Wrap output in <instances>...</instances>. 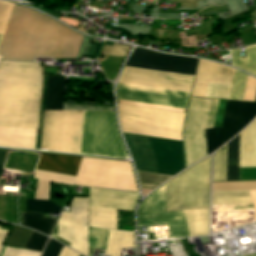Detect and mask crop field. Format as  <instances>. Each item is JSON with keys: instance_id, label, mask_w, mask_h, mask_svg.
<instances>
[{"instance_id": "8a807250", "label": "crop field", "mask_w": 256, "mask_h": 256, "mask_svg": "<svg viewBox=\"0 0 256 256\" xmlns=\"http://www.w3.org/2000/svg\"><path fill=\"white\" fill-rule=\"evenodd\" d=\"M196 62L194 59L135 49L126 66L194 76ZM128 67L123 69L118 82L187 93L191 91L194 77ZM120 83L116 86L117 99L184 109L187 107L190 94Z\"/></svg>"}, {"instance_id": "ac0d7876", "label": "crop field", "mask_w": 256, "mask_h": 256, "mask_svg": "<svg viewBox=\"0 0 256 256\" xmlns=\"http://www.w3.org/2000/svg\"><path fill=\"white\" fill-rule=\"evenodd\" d=\"M82 35L63 24L23 6L13 5L11 15L0 47L2 59L33 61L38 57H75ZM84 36L79 55H94L96 46L89 45Z\"/></svg>"}, {"instance_id": "34b2d1b8", "label": "crop field", "mask_w": 256, "mask_h": 256, "mask_svg": "<svg viewBox=\"0 0 256 256\" xmlns=\"http://www.w3.org/2000/svg\"><path fill=\"white\" fill-rule=\"evenodd\" d=\"M85 111H44L40 150L81 154ZM83 155L129 159L114 111H86Z\"/></svg>"}, {"instance_id": "412701ff", "label": "crop field", "mask_w": 256, "mask_h": 256, "mask_svg": "<svg viewBox=\"0 0 256 256\" xmlns=\"http://www.w3.org/2000/svg\"><path fill=\"white\" fill-rule=\"evenodd\" d=\"M40 63H0V125L38 127Z\"/></svg>"}, {"instance_id": "f4fd0767", "label": "crop field", "mask_w": 256, "mask_h": 256, "mask_svg": "<svg viewBox=\"0 0 256 256\" xmlns=\"http://www.w3.org/2000/svg\"><path fill=\"white\" fill-rule=\"evenodd\" d=\"M166 183L141 202L137 226L168 224L173 237H181V211L165 212ZM209 208L182 211V237L208 235Z\"/></svg>"}, {"instance_id": "dd49c442", "label": "crop field", "mask_w": 256, "mask_h": 256, "mask_svg": "<svg viewBox=\"0 0 256 256\" xmlns=\"http://www.w3.org/2000/svg\"><path fill=\"white\" fill-rule=\"evenodd\" d=\"M69 213L62 212L57 236L68 241ZM69 247L88 256V197H73L70 210ZM134 247V233L109 230L104 255L119 256L120 249Z\"/></svg>"}, {"instance_id": "e52e79f7", "label": "crop field", "mask_w": 256, "mask_h": 256, "mask_svg": "<svg viewBox=\"0 0 256 256\" xmlns=\"http://www.w3.org/2000/svg\"><path fill=\"white\" fill-rule=\"evenodd\" d=\"M123 135L137 170L175 175L184 168L182 142Z\"/></svg>"}, {"instance_id": "d8731c3e", "label": "crop field", "mask_w": 256, "mask_h": 256, "mask_svg": "<svg viewBox=\"0 0 256 256\" xmlns=\"http://www.w3.org/2000/svg\"><path fill=\"white\" fill-rule=\"evenodd\" d=\"M210 157L167 182L166 211L209 207Z\"/></svg>"}, {"instance_id": "5a996713", "label": "crop field", "mask_w": 256, "mask_h": 256, "mask_svg": "<svg viewBox=\"0 0 256 256\" xmlns=\"http://www.w3.org/2000/svg\"><path fill=\"white\" fill-rule=\"evenodd\" d=\"M123 133L182 140L185 114L118 105Z\"/></svg>"}, {"instance_id": "3316defc", "label": "crop field", "mask_w": 256, "mask_h": 256, "mask_svg": "<svg viewBox=\"0 0 256 256\" xmlns=\"http://www.w3.org/2000/svg\"><path fill=\"white\" fill-rule=\"evenodd\" d=\"M218 102L191 97L183 130L186 167L207 156L204 128L213 127Z\"/></svg>"}, {"instance_id": "28ad6ade", "label": "crop field", "mask_w": 256, "mask_h": 256, "mask_svg": "<svg viewBox=\"0 0 256 256\" xmlns=\"http://www.w3.org/2000/svg\"><path fill=\"white\" fill-rule=\"evenodd\" d=\"M74 185L138 191L130 162L85 157Z\"/></svg>"}, {"instance_id": "d1516ede", "label": "crop field", "mask_w": 256, "mask_h": 256, "mask_svg": "<svg viewBox=\"0 0 256 256\" xmlns=\"http://www.w3.org/2000/svg\"><path fill=\"white\" fill-rule=\"evenodd\" d=\"M82 157L42 153L38 162V170L76 175ZM35 171L38 178L35 199L48 200L50 182L73 185L75 177L44 171Z\"/></svg>"}, {"instance_id": "22f410ed", "label": "crop field", "mask_w": 256, "mask_h": 256, "mask_svg": "<svg viewBox=\"0 0 256 256\" xmlns=\"http://www.w3.org/2000/svg\"><path fill=\"white\" fill-rule=\"evenodd\" d=\"M255 116L256 103L227 100L222 124L223 144L236 135Z\"/></svg>"}, {"instance_id": "cbeb9de0", "label": "crop field", "mask_w": 256, "mask_h": 256, "mask_svg": "<svg viewBox=\"0 0 256 256\" xmlns=\"http://www.w3.org/2000/svg\"><path fill=\"white\" fill-rule=\"evenodd\" d=\"M138 193L89 188V206L133 210Z\"/></svg>"}, {"instance_id": "5142ce71", "label": "crop field", "mask_w": 256, "mask_h": 256, "mask_svg": "<svg viewBox=\"0 0 256 256\" xmlns=\"http://www.w3.org/2000/svg\"><path fill=\"white\" fill-rule=\"evenodd\" d=\"M35 130L0 127V146L34 149Z\"/></svg>"}, {"instance_id": "d9b57169", "label": "crop field", "mask_w": 256, "mask_h": 256, "mask_svg": "<svg viewBox=\"0 0 256 256\" xmlns=\"http://www.w3.org/2000/svg\"><path fill=\"white\" fill-rule=\"evenodd\" d=\"M256 166V119L240 133L239 167Z\"/></svg>"}, {"instance_id": "733c2abd", "label": "crop field", "mask_w": 256, "mask_h": 256, "mask_svg": "<svg viewBox=\"0 0 256 256\" xmlns=\"http://www.w3.org/2000/svg\"><path fill=\"white\" fill-rule=\"evenodd\" d=\"M252 206L248 191L211 192V208Z\"/></svg>"}, {"instance_id": "4a817a6b", "label": "crop field", "mask_w": 256, "mask_h": 256, "mask_svg": "<svg viewBox=\"0 0 256 256\" xmlns=\"http://www.w3.org/2000/svg\"><path fill=\"white\" fill-rule=\"evenodd\" d=\"M65 77L47 76L44 110H62Z\"/></svg>"}, {"instance_id": "bc2a9ffb", "label": "crop field", "mask_w": 256, "mask_h": 256, "mask_svg": "<svg viewBox=\"0 0 256 256\" xmlns=\"http://www.w3.org/2000/svg\"><path fill=\"white\" fill-rule=\"evenodd\" d=\"M89 227L117 230V210L89 207Z\"/></svg>"}, {"instance_id": "214f88e0", "label": "crop field", "mask_w": 256, "mask_h": 256, "mask_svg": "<svg viewBox=\"0 0 256 256\" xmlns=\"http://www.w3.org/2000/svg\"><path fill=\"white\" fill-rule=\"evenodd\" d=\"M230 52L232 66L243 69L256 76V45L245 47L246 58H241L240 48L230 50Z\"/></svg>"}, {"instance_id": "92a150f3", "label": "crop field", "mask_w": 256, "mask_h": 256, "mask_svg": "<svg viewBox=\"0 0 256 256\" xmlns=\"http://www.w3.org/2000/svg\"><path fill=\"white\" fill-rule=\"evenodd\" d=\"M23 225L49 236L57 219L44 217V213L21 212Z\"/></svg>"}, {"instance_id": "dafd665d", "label": "crop field", "mask_w": 256, "mask_h": 256, "mask_svg": "<svg viewBox=\"0 0 256 256\" xmlns=\"http://www.w3.org/2000/svg\"><path fill=\"white\" fill-rule=\"evenodd\" d=\"M239 135L227 143L226 181L238 180Z\"/></svg>"}, {"instance_id": "00972430", "label": "crop field", "mask_w": 256, "mask_h": 256, "mask_svg": "<svg viewBox=\"0 0 256 256\" xmlns=\"http://www.w3.org/2000/svg\"><path fill=\"white\" fill-rule=\"evenodd\" d=\"M219 65L199 59L195 80L215 83Z\"/></svg>"}, {"instance_id": "a9b5d70f", "label": "crop field", "mask_w": 256, "mask_h": 256, "mask_svg": "<svg viewBox=\"0 0 256 256\" xmlns=\"http://www.w3.org/2000/svg\"><path fill=\"white\" fill-rule=\"evenodd\" d=\"M141 188L153 189L168 178L170 175L154 174L137 171Z\"/></svg>"}, {"instance_id": "4177f3b9", "label": "crop field", "mask_w": 256, "mask_h": 256, "mask_svg": "<svg viewBox=\"0 0 256 256\" xmlns=\"http://www.w3.org/2000/svg\"><path fill=\"white\" fill-rule=\"evenodd\" d=\"M62 208L50 201L27 199L26 211L60 213Z\"/></svg>"}, {"instance_id": "730fd06b", "label": "crop field", "mask_w": 256, "mask_h": 256, "mask_svg": "<svg viewBox=\"0 0 256 256\" xmlns=\"http://www.w3.org/2000/svg\"><path fill=\"white\" fill-rule=\"evenodd\" d=\"M247 77V74L236 70L229 99L242 100Z\"/></svg>"}, {"instance_id": "eef30255", "label": "crop field", "mask_w": 256, "mask_h": 256, "mask_svg": "<svg viewBox=\"0 0 256 256\" xmlns=\"http://www.w3.org/2000/svg\"><path fill=\"white\" fill-rule=\"evenodd\" d=\"M225 146L213 153L212 181H223Z\"/></svg>"}, {"instance_id": "ae1a2a85", "label": "crop field", "mask_w": 256, "mask_h": 256, "mask_svg": "<svg viewBox=\"0 0 256 256\" xmlns=\"http://www.w3.org/2000/svg\"><path fill=\"white\" fill-rule=\"evenodd\" d=\"M256 190V182H213V191Z\"/></svg>"}, {"instance_id": "d3111659", "label": "crop field", "mask_w": 256, "mask_h": 256, "mask_svg": "<svg viewBox=\"0 0 256 256\" xmlns=\"http://www.w3.org/2000/svg\"><path fill=\"white\" fill-rule=\"evenodd\" d=\"M63 244L50 239L48 242V245L43 253L42 256H56L61 249ZM57 256H80L76 252L72 251L68 247L64 246L60 250L59 254Z\"/></svg>"}, {"instance_id": "750c4746", "label": "crop field", "mask_w": 256, "mask_h": 256, "mask_svg": "<svg viewBox=\"0 0 256 256\" xmlns=\"http://www.w3.org/2000/svg\"><path fill=\"white\" fill-rule=\"evenodd\" d=\"M30 233L31 230L15 225L6 244L24 247Z\"/></svg>"}, {"instance_id": "bd1437ed", "label": "crop field", "mask_w": 256, "mask_h": 256, "mask_svg": "<svg viewBox=\"0 0 256 256\" xmlns=\"http://www.w3.org/2000/svg\"><path fill=\"white\" fill-rule=\"evenodd\" d=\"M208 154L222 145L221 127L206 129Z\"/></svg>"}, {"instance_id": "1d83c4d3", "label": "crop field", "mask_w": 256, "mask_h": 256, "mask_svg": "<svg viewBox=\"0 0 256 256\" xmlns=\"http://www.w3.org/2000/svg\"><path fill=\"white\" fill-rule=\"evenodd\" d=\"M231 85L209 83L206 97L228 99Z\"/></svg>"}, {"instance_id": "120bbe31", "label": "crop field", "mask_w": 256, "mask_h": 256, "mask_svg": "<svg viewBox=\"0 0 256 256\" xmlns=\"http://www.w3.org/2000/svg\"><path fill=\"white\" fill-rule=\"evenodd\" d=\"M12 2L0 0V34L4 33L5 26L10 14ZM3 35H0V43Z\"/></svg>"}, {"instance_id": "d32e631a", "label": "crop field", "mask_w": 256, "mask_h": 256, "mask_svg": "<svg viewBox=\"0 0 256 256\" xmlns=\"http://www.w3.org/2000/svg\"><path fill=\"white\" fill-rule=\"evenodd\" d=\"M47 239V237L32 231L25 247L41 251Z\"/></svg>"}, {"instance_id": "5866460e", "label": "crop field", "mask_w": 256, "mask_h": 256, "mask_svg": "<svg viewBox=\"0 0 256 256\" xmlns=\"http://www.w3.org/2000/svg\"><path fill=\"white\" fill-rule=\"evenodd\" d=\"M234 72H235L234 69L225 65H220L216 83L231 84L234 76Z\"/></svg>"}, {"instance_id": "028f5c9d", "label": "crop field", "mask_w": 256, "mask_h": 256, "mask_svg": "<svg viewBox=\"0 0 256 256\" xmlns=\"http://www.w3.org/2000/svg\"><path fill=\"white\" fill-rule=\"evenodd\" d=\"M40 252L4 247L0 256H39Z\"/></svg>"}, {"instance_id": "e1f06a70", "label": "crop field", "mask_w": 256, "mask_h": 256, "mask_svg": "<svg viewBox=\"0 0 256 256\" xmlns=\"http://www.w3.org/2000/svg\"><path fill=\"white\" fill-rule=\"evenodd\" d=\"M129 49H130L129 46H123V45H116V44H113V46L104 45L102 54L126 56Z\"/></svg>"}, {"instance_id": "0bd39190", "label": "crop field", "mask_w": 256, "mask_h": 256, "mask_svg": "<svg viewBox=\"0 0 256 256\" xmlns=\"http://www.w3.org/2000/svg\"><path fill=\"white\" fill-rule=\"evenodd\" d=\"M255 93H256V79L249 76L243 100L254 101Z\"/></svg>"}, {"instance_id": "b80d0937", "label": "crop field", "mask_w": 256, "mask_h": 256, "mask_svg": "<svg viewBox=\"0 0 256 256\" xmlns=\"http://www.w3.org/2000/svg\"><path fill=\"white\" fill-rule=\"evenodd\" d=\"M208 83L195 81L191 96L205 97Z\"/></svg>"}, {"instance_id": "c035e120", "label": "crop field", "mask_w": 256, "mask_h": 256, "mask_svg": "<svg viewBox=\"0 0 256 256\" xmlns=\"http://www.w3.org/2000/svg\"><path fill=\"white\" fill-rule=\"evenodd\" d=\"M226 100H220L214 127L221 126Z\"/></svg>"}, {"instance_id": "c21b1889", "label": "crop field", "mask_w": 256, "mask_h": 256, "mask_svg": "<svg viewBox=\"0 0 256 256\" xmlns=\"http://www.w3.org/2000/svg\"><path fill=\"white\" fill-rule=\"evenodd\" d=\"M120 103L123 104H130V105H136V106H143V107H151V108H159V109H166V110H174L179 111L183 113V109H177V108H170V107H163V106H155V105H147V104H141V103H134V102H128V101H120Z\"/></svg>"}, {"instance_id": "03da06ac", "label": "crop field", "mask_w": 256, "mask_h": 256, "mask_svg": "<svg viewBox=\"0 0 256 256\" xmlns=\"http://www.w3.org/2000/svg\"><path fill=\"white\" fill-rule=\"evenodd\" d=\"M197 1L200 0H170V2H181V7L197 8Z\"/></svg>"}, {"instance_id": "b54c1fbb", "label": "crop field", "mask_w": 256, "mask_h": 256, "mask_svg": "<svg viewBox=\"0 0 256 256\" xmlns=\"http://www.w3.org/2000/svg\"><path fill=\"white\" fill-rule=\"evenodd\" d=\"M6 151H7V150H1V149H0V172H1V169H2V167H3V163H4Z\"/></svg>"}, {"instance_id": "5d738f31", "label": "crop field", "mask_w": 256, "mask_h": 256, "mask_svg": "<svg viewBox=\"0 0 256 256\" xmlns=\"http://www.w3.org/2000/svg\"><path fill=\"white\" fill-rule=\"evenodd\" d=\"M250 192V195H251V198H252V201H253V205H254V209H255V212H256V191H249Z\"/></svg>"}, {"instance_id": "d23c7cc5", "label": "crop field", "mask_w": 256, "mask_h": 256, "mask_svg": "<svg viewBox=\"0 0 256 256\" xmlns=\"http://www.w3.org/2000/svg\"><path fill=\"white\" fill-rule=\"evenodd\" d=\"M6 234L7 233L0 232V252H1L2 248H3L2 243H3L4 239H5Z\"/></svg>"}, {"instance_id": "425ffa30", "label": "crop field", "mask_w": 256, "mask_h": 256, "mask_svg": "<svg viewBox=\"0 0 256 256\" xmlns=\"http://www.w3.org/2000/svg\"><path fill=\"white\" fill-rule=\"evenodd\" d=\"M246 256H256L255 254H250V255H246Z\"/></svg>"}, {"instance_id": "25e5ab78", "label": "crop field", "mask_w": 256, "mask_h": 256, "mask_svg": "<svg viewBox=\"0 0 256 256\" xmlns=\"http://www.w3.org/2000/svg\"><path fill=\"white\" fill-rule=\"evenodd\" d=\"M2 56H0V59H1Z\"/></svg>"}, {"instance_id": "73cf0c24", "label": "crop field", "mask_w": 256, "mask_h": 256, "mask_svg": "<svg viewBox=\"0 0 256 256\" xmlns=\"http://www.w3.org/2000/svg\"><path fill=\"white\" fill-rule=\"evenodd\" d=\"M255 101H256V99H255Z\"/></svg>"}]
</instances>
